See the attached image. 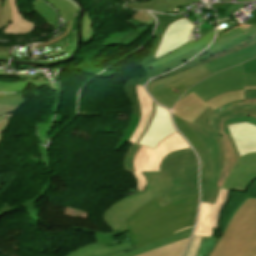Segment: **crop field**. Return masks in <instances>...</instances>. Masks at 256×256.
I'll use <instances>...</instances> for the list:
<instances>
[{
  "mask_svg": "<svg viewBox=\"0 0 256 256\" xmlns=\"http://www.w3.org/2000/svg\"><path fill=\"white\" fill-rule=\"evenodd\" d=\"M6 117H9V116H5V117H0V121ZM0 138H1V134H0Z\"/></svg>",
  "mask_w": 256,
  "mask_h": 256,
  "instance_id": "obj_64",
  "label": "crop field"
},
{
  "mask_svg": "<svg viewBox=\"0 0 256 256\" xmlns=\"http://www.w3.org/2000/svg\"><path fill=\"white\" fill-rule=\"evenodd\" d=\"M153 105L154 111L143 135L136 145H131L124 159L123 166L130 173L134 172L132 159L141 145L155 149L160 141L176 132L170 112L156 103Z\"/></svg>",
  "mask_w": 256,
  "mask_h": 256,
  "instance_id": "obj_10",
  "label": "crop field"
},
{
  "mask_svg": "<svg viewBox=\"0 0 256 256\" xmlns=\"http://www.w3.org/2000/svg\"><path fill=\"white\" fill-rule=\"evenodd\" d=\"M245 4H232L226 11H222L221 9L218 12V19L226 18L234 14L239 8H241ZM240 10V9H239Z\"/></svg>",
  "mask_w": 256,
  "mask_h": 256,
  "instance_id": "obj_40",
  "label": "crop field"
},
{
  "mask_svg": "<svg viewBox=\"0 0 256 256\" xmlns=\"http://www.w3.org/2000/svg\"><path fill=\"white\" fill-rule=\"evenodd\" d=\"M237 100H244L243 91L228 92L217 96L206 103L201 101L192 93L177 103L173 108L172 113L192 122L209 106L216 110L230 102Z\"/></svg>",
  "mask_w": 256,
  "mask_h": 256,
  "instance_id": "obj_13",
  "label": "crop field"
},
{
  "mask_svg": "<svg viewBox=\"0 0 256 256\" xmlns=\"http://www.w3.org/2000/svg\"><path fill=\"white\" fill-rule=\"evenodd\" d=\"M50 186L48 185H44L40 194L38 196H36L34 199L27 201L25 203L19 204L17 206H14L13 208L18 209V208H22L25 207L28 209L27 213L32 217V219L37 223L39 221V218L37 217V213H36V209H35V202L45 194V192L48 190Z\"/></svg>",
  "mask_w": 256,
  "mask_h": 256,
  "instance_id": "obj_33",
  "label": "crop field"
},
{
  "mask_svg": "<svg viewBox=\"0 0 256 256\" xmlns=\"http://www.w3.org/2000/svg\"><path fill=\"white\" fill-rule=\"evenodd\" d=\"M209 75H211L209 71L201 64L180 74L151 82L148 84V90L150 93L155 85L163 83L179 95H182L188 88Z\"/></svg>",
  "mask_w": 256,
  "mask_h": 256,
  "instance_id": "obj_17",
  "label": "crop field"
},
{
  "mask_svg": "<svg viewBox=\"0 0 256 256\" xmlns=\"http://www.w3.org/2000/svg\"><path fill=\"white\" fill-rule=\"evenodd\" d=\"M131 1H139V0H131Z\"/></svg>",
  "mask_w": 256,
  "mask_h": 256,
  "instance_id": "obj_67",
  "label": "crop field"
},
{
  "mask_svg": "<svg viewBox=\"0 0 256 256\" xmlns=\"http://www.w3.org/2000/svg\"><path fill=\"white\" fill-rule=\"evenodd\" d=\"M11 21V7L9 0H3V9L0 19V30L4 29Z\"/></svg>",
  "mask_w": 256,
  "mask_h": 256,
  "instance_id": "obj_38",
  "label": "crop field"
},
{
  "mask_svg": "<svg viewBox=\"0 0 256 256\" xmlns=\"http://www.w3.org/2000/svg\"><path fill=\"white\" fill-rule=\"evenodd\" d=\"M228 192L229 190L219 189L218 197L214 205L201 203L194 236L212 237L213 228H218L220 212L227 201Z\"/></svg>",
  "mask_w": 256,
  "mask_h": 256,
  "instance_id": "obj_15",
  "label": "crop field"
},
{
  "mask_svg": "<svg viewBox=\"0 0 256 256\" xmlns=\"http://www.w3.org/2000/svg\"><path fill=\"white\" fill-rule=\"evenodd\" d=\"M174 121L182 134L190 141L197 153L205 151V148L199 138L186 126L182 119L174 116Z\"/></svg>",
  "mask_w": 256,
  "mask_h": 256,
  "instance_id": "obj_31",
  "label": "crop field"
},
{
  "mask_svg": "<svg viewBox=\"0 0 256 256\" xmlns=\"http://www.w3.org/2000/svg\"><path fill=\"white\" fill-rule=\"evenodd\" d=\"M0 64H4V65H6L7 63H2V62H0Z\"/></svg>",
  "mask_w": 256,
  "mask_h": 256,
  "instance_id": "obj_65",
  "label": "crop field"
},
{
  "mask_svg": "<svg viewBox=\"0 0 256 256\" xmlns=\"http://www.w3.org/2000/svg\"><path fill=\"white\" fill-rule=\"evenodd\" d=\"M47 120L45 121V123H38V132H39V137H40V141L41 143L45 144L47 138H45L46 136V128H47Z\"/></svg>",
  "mask_w": 256,
  "mask_h": 256,
  "instance_id": "obj_43",
  "label": "crop field"
},
{
  "mask_svg": "<svg viewBox=\"0 0 256 256\" xmlns=\"http://www.w3.org/2000/svg\"><path fill=\"white\" fill-rule=\"evenodd\" d=\"M26 100L23 94H0V115H8L19 108Z\"/></svg>",
  "mask_w": 256,
  "mask_h": 256,
  "instance_id": "obj_24",
  "label": "crop field"
},
{
  "mask_svg": "<svg viewBox=\"0 0 256 256\" xmlns=\"http://www.w3.org/2000/svg\"><path fill=\"white\" fill-rule=\"evenodd\" d=\"M187 148H190L189 145L177 132L160 142L155 150L141 146L133 159L137 189L144 191L146 187L142 171H159L160 163L166 155Z\"/></svg>",
  "mask_w": 256,
  "mask_h": 256,
  "instance_id": "obj_9",
  "label": "crop field"
},
{
  "mask_svg": "<svg viewBox=\"0 0 256 256\" xmlns=\"http://www.w3.org/2000/svg\"><path fill=\"white\" fill-rule=\"evenodd\" d=\"M155 198L125 221L127 233L137 247L156 241L192 226L195 222L198 195L177 200L164 207Z\"/></svg>",
  "mask_w": 256,
  "mask_h": 256,
  "instance_id": "obj_1",
  "label": "crop field"
},
{
  "mask_svg": "<svg viewBox=\"0 0 256 256\" xmlns=\"http://www.w3.org/2000/svg\"><path fill=\"white\" fill-rule=\"evenodd\" d=\"M245 90H256V86H254V87H245Z\"/></svg>",
  "mask_w": 256,
  "mask_h": 256,
  "instance_id": "obj_58",
  "label": "crop field"
},
{
  "mask_svg": "<svg viewBox=\"0 0 256 256\" xmlns=\"http://www.w3.org/2000/svg\"><path fill=\"white\" fill-rule=\"evenodd\" d=\"M226 24L229 25V27H227V28H225V29H223L221 31H218V34H220V33L224 32V31H226V30H228V29L238 25V23L234 22L233 20L226 22Z\"/></svg>",
  "mask_w": 256,
  "mask_h": 256,
  "instance_id": "obj_52",
  "label": "crop field"
},
{
  "mask_svg": "<svg viewBox=\"0 0 256 256\" xmlns=\"http://www.w3.org/2000/svg\"><path fill=\"white\" fill-rule=\"evenodd\" d=\"M10 51H11V49H9V52L0 51V59H8V57L10 55Z\"/></svg>",
  "mask_w": 256,
  "mask_h": 256,
  "instance_id": "obj_55",
  "label": "crop field"
},
{
  "mask_svg": "<svg viewBox=\"0 0 256 256\" xmlns=\"http://www.w3.org/2000/svg\"><path fill=\"white\" fill-rule=\"evenodd\" d=\"M251 15L252 17L243 25L238 22L240 25L218 35L219 37H217L213 45L190 63L162 76V78L180 73L201 63L211 62L256 43V12L253 11Z\"/></svg>",
  "mask_w": 256,
  "mask_h": 256,
  "instance_id": "obj_5",
  "label": "crop field"
},
{
  "mask_svg": "<svg viewBox=\"0 0 256 256\" xmlns=\"http://www.w3.org/2000/svg\"><path fill=\"white\" fill-rule=\"evenodd\" d=\"M246 1H251V0H238L237 2H246Z\"/></svg>",
  "mask_w": 256,
  "mask_h": 256,
  "instance_id": "obj_63",
  "label": "crop field"
},
{
  "mask_svg": "<svg viewBox=\"0 0 256 256\" xmlns=\"http://www.w3.org/2000/svg\"><path fill=\"white\" fill-rule=\"evenodd\" d=\"M188 238L145 252L137 256H180Z\"/></svg>",
  "mask_w": 256,
  "mask_h": 256,
  "instance_id": "obj_27",
  "label": "crop field"
},
{
  "mask_svg": "<svg viewBox=\"0 0 256 256\" xmlns=\"http://www.w3.org/2000/svg\"><path fill=\"white\" fill-rule=\"evenodd\" d=\"M205 47H206V46H205ZM205 47H203V48H201V49H199V50H196V51H194V52H192V53H190V54H187V55H185V56H182V57H180V58H178V59H175V60H173V61H170V62H168V63H166V64H163V65H161V66H158V67H155V68H150V69H144L147 73H145V74H143V75H141V76H138V77H136V78H134V79H132V80L126 82L125 85L131 84V83H132L133 81H135L136 79H138V78H140V77H142V76H144V75H146V74H148V73H150V74L152 75V77H154V76H157V75H159V74H161V73H164V72H166V71H168V70H170V69H173V68H175V67H177V66L183 64L184 62H186V61L189 60L190 58H192L196 53H198V52H200L201 50L205 49Z\"/></svg>",
  "mask_w": 256,
  "mask_h": 256,
  "instance_id": "obj_23",
  "label": "crop field"
},
{
  "mask_svg": "<svg viewBox=\"0 0 256 256\" xmlns=\"http://www.w3.org/2000/svg\"><path fill=\"white\" fill-rule=\"evenodd\" d=\"M190 3H194V1L193 0H151L146 2L127 4V6L130 9L154 10V11L163 13L170 9L180 7Z\"/></svg>",
  "mask_w": 256,
  "mask_h": 256,
  "instance_id": "obj_20",
  "label": "crop field"
},
{
  "mask_svg": "<svg viewBox=\"0 0 256 256\" xmlns=\"http://www.w3.org/2000/svg\"><path fill=\"white\" fill-rule=\"evenodd\" d=\"M71 23H72V21L69 22L68 28H67L66 32L64 34H62L60 37H58V38H56L54 40L48 41V42H44V43L39 44V45H37L35 47L51 45V44L57 42L58 40L64 38L70 32Z\"/></svg>",
  "mask_w": 256,
  "mask_h": 256,
  "instance_id": "obj_45",
  "label": "crop field"
},
{
  "mask_svg": "<svg viewBox=\"0 0 256 256\" xmlns=\"http://www.w3.org/2000/svg\"><path fill=\"white\" fill-rule=\"evenodd\" d=\"M202 237H194L186 256H196Z\"/></svg>",
  "mask_w": 256,
  "mask_h": 256,
  "instance_id": "obj_42",
  "label": "crop field"
},
{
  "mask_svg": "<svg viewBox=\"0 0 256 256\" xmlns=\"http://www.w3.org/2000/svg\"><path fill=\"white\" fill-rule=\"evenodd\" d=\"M10 1L12 7V21L2 31V34L19 35L32 32L34 30L35 24L22 17L18 11L15 0Z\"/></svg>",
  "mask_w": 256,
  "mask_h": 256,
  "instance_id": "obj_21",
  "label": "crop field"
},
{
  "mask_svg": "<svg viewBox=\"0 0 256 256\" xmlns=\"http://www.w3.org/2000/svg\"><path fill=\"white\" fill-rule=\"evenodd\" d=\"M214 27H212L210 24H208L207 22L200 25V30L202 32V36L205 35L207 32H209L211 29H213Z\"/></svg>",
  "mask_w": 256,
  "mask_h": 256,
  "instance_id": "obj_47",
  "label": "crop field"
},
{
  "mask_svg": "<svg viewBox=\"0 0 256 256\" xmlns=\"http://www.w3.org/2000/svg\"><path fill=\"white\" fill-rule=\"evenodd\" d=\"M152 96L157 102L167 106L170 109L181 97L163 84L153 88Z\"/></svg>",
  "mask_w": 256,
  "mask_h": 256,
  "instance_id": "obj_28",
  "label": "crop field"
},
{
  "mask_svg": "<svg viewBox=\"0 0 256 256\" xmlns=\"http://www.w3.org/2000/svg\"><path fill=\"white\" fill-rule=\"evenodd\" d=\"M46 1L59 10L61 17L65 21V26H67L69 20H76V16L74 17V14L76 13L75 8H73L66 1H62V0H46Z\"/></svg>",
  "mask_w": 256,
  "mask_h": 256,
  "instance_id": "obj_32",
  "label": "crop field"
},
{
  "mask_svg": "<svg viewBox=\"0 0 256 256\" xmlns=\"http://www.w3.org/2000/svg\"><path fill=\"white\" fill-rule=\"evenodd\" d=\"M222 1H230V0H222Z\"/></svg>",
  "mask_w": 256,
  "mask_h": 256,
  "instance_id": "obj_66",
  "label": "crop field"
},
{
  "mask_svg": "<svg viewBox=\"0 0 256 256\" xmlns=\"http://www.w3.org/2000/svg\"><path fill=\"white\" fill-rule=\"evenodd\" d=\"M56 71V68L51 70V77L53 78V73Z\"/></svg>",
  "mask_w": 256,
  "mask_h": 256,
  "instance_id": "obj_61",
  "label": "crop field"
},
{
  "mask_svg": "<svg viewBox=\"0 0 256 256\" xmlns=\"http://www.w3.org/2000/svg\"><path fill=\"white\" fill-rule=\"evenodd\" d=\"M74 229L95 234L97 243L82 246L66 256H109L122 251L127 253L135 248L127 233H123L126 236L125 240L117 243L113 236L121 235V231L102 233L78 227ZM107 244H114L115 247H108Z\"/></svg>",
  "mask_w": 256,
  "mask_h": 256,
  "instance_id": "obj_12",
  "label": "crop field"
},
{
  "mask_svg": "<svg viewBox=\"0 0 256 256\" xmlns=\"http://www.w3.org/2000/svg\"><path fill=\"white\" fill-rule=\"evenodd\" d=\"M30 82H17V83H0V92H20L24 91L26 86ZM38 88L45 86L46 84L31 82Z\"/></svg>",
  "mask_w": 256,
  "mask_h": 256,
  "instance_id": "obj_35",
  "label": "crop field"
},
{
  "mask_svg": "<svg viewBox=\"0 0 256 256\" xmlns=\"http://www.w3.org/2000/svg\"><path fill=\"white\" fill-rule=\"evenodd\" d=\"M192 228H193V227H192ZM192 228H190V229H188V230H185V231H183V232H181V233H178V234H176V235L170 236V237H168V238H165V239H163V240L157 241V242H155V243H152V244H150V245H147V246H144V247H142V248L136 249V250L131 251V252L127 253V254H125L124 252H122V253L115 254V255H112V256H134V255L143 253V252H145V251H148V250H151V249H154V248H157V247H160V246H163V245H166V244L175 242V241H177V240H180V239L189 237L190 234H191Z\"/></svg>",
  "mask_w": 256,
  "mask_h": 256,
  "instance_id": "obj_25",
  "label": "crop field"
},
{
  "mask_svg": "<svg viewBox=\"0 0 256 256\" xmlns=\"http://www.w3.org/2000/svg\"><path fill=\"white\" fill-rule=\"evenodd\" d=\"M213 111L209 107L192 124L184 121L207 149V151L198 154L201 160V202L211 204L214 203L217 197V178L223 164L218 136L206 122Z\"/></svg>",
  "mask_w": 256,
  "mask_h": 256,
  "instance_id": "obj_4",
  "label": "crop field"
},
{
  "mask_svg": "<svg viewBox=\"0 0 256 256\" xmlns=\"http://www.w3.org/2000/svg\"><path fill=\"white\" fill-rule=\"evenodd\" d=\"M231 4H227V3H217V4H214V5H212L211 7L212 8H214V9H216V10H218V9H224V10H226L229 6H230Z\"/></svg>",
  "mask_w": 256,
  "mask_h": 256,
  "instance_id": "obj_48",
  "label": "crop field"
},
{
  "mask_svg": "<svg viewBox=\"0 0 256 256\" xmlns=\"http://www.w3.org/2000/svg\"><path fill=\"white\" fill-rule=\"evenodd\" d=\"M143 174L147 180L145 192L137 191L125 197L108 208L103 214V219L112 231L121 230L122 233L126 232L124 220L133 212L157 197L160 190L159 172H143Z\"/></svg>",
  "mask_w": 256,
  "mask_h": 256,
  "instance_id": "obj_7",
  "label": "crop field"
},
{
  "mask_svg": "<svg viewBox=\"0 0 256 256\" xmlns=\"http://www.w3.org/2000/svg\"><path fill=\"white\" fill-rule=\"evenodd\" d=\"M154 16L158 18V27L156 30V39L151 47L150 50L146 51V58H148L149 56H151L153 53H155L157 46L159 44V41L163 35V31L164 29L173 22V20L179 19V17L177 15H162V14H158V13H154ZM145 58V59H146Z\"/></svg>",
  "mask_w": 256,
  "mask_h": 256,
  "instance_id": "obj_29",
  "label": "crop field"
},
{
  "mask_svg": "<svg viewBox=\"0 0 256 256\" xmlns=\"http://www.w3.org/2000/svg\"><path fill=\"white\" fill-rule=\"evenodd\" d=\"M0 77H21L22 81L42 82V83H46L47 86H49L51 89L57 91L56 102H55V104L53 106V111H52L51 115L49 116L48 128H47V136H48L49 128H50L52 119H53V117L55 115V111H56V107H57V103H58L59 84L58 83L51 84L49 81H46V79L44 78L43 75H40V74H36V75H29V74H0Z\"/></svg>",
  "mask_w": 256,
  "mask_h": 256,
  "instance_id": "obj_26",
  "label": "crop field"
},
{
  "mask_svg": "<svg viewBox=\"0 0 256 256\" xmlns=\"http://www.w3.org/2000/svg\"><path fill=\"white\" fill-rule=\"evenodd\" d=\"M238 116H254L256 117V100L238 101L224 106L216 111L209 117L207 122L213 128L220 138L224 164L222 172L218 178V185L222 187L226 177L237 161L238 157L226 135L223 134L222 121L231 117Z\"/></svg>",
  "mask_w": 256,
  "mask_h": 256,
  "instance_id": "obj_6",
  "label": "crop field"
},
{
  "mask_svg": "<svg viewBox=\"0 0 256 256\" xmlns=\"http://www.w3.org/2000/svg\"><path fill=\"white\" fill-rule=\"evenodd\" d=\"M15 65V64H13ZM17 66H20V67H39V66H23V65H17Z\"/></svg>",
  "mask_w": 256,
  "mask_h": 256,
  "instance_id": "obj_60",
  "label": "crop field"
},
{
  "mask_svg": "<svg viewBox=\"0 0 256 256\" xmlns=\"http://www.w3.org/2000/svg\"><path fill=\"white\" fill-rule=\"evenodd\" d=\"M213 32H214V29L211 30L209 33H207L205 36H203L201 39H199L197 42L195 43H188L187 45H185L184 47L158 59L157 61L149 64L148 66L144 67V68H149V67H155V66H158V65H161L165 62H168L170 60H173L175 58H178L182 55H185L187 53H190L198 48H201L207 44H209V42L211 41L212 37H213Z\"/></svg>",
  "mask_w": 256,
  "mask_h": 256,
  "instance_id": "obj_22",
  "label": "crop field"
},
{
  "mask_svg": "<svg viewBox=\"0 0 256 256\" xmlns=\"http://www.w3.org/2000/svg\"><path fill=\"white\" fill-rule=\"evenodd\" d=\"M220 238L203 237L197 256H209L215 244Z\"/></svg>",
  "mask_w": 256,
  "mask_h": 256,
  "instance_id": "obj_37",
  "label": "crop field"
},
{
  "mask_svg": "<svg viewBox=\"0 0 256 256\" xmlns=\"http://www.w3.org/2000/svg\"><path fill=\"white\" fill-rule=\"evenodd\" d=\"M245 100L256 99V91H244Z\"/></svg>",
  "mask_w": 256,
  "mask_h": 256,
  "instance_id": "obj_49",
  "label": "crop field"
},
{
  "mask_svg": "<svg viewBox=\"0 0 256 256\" xmlns=\"http://www.w3.org/2000/svg\"><path fill=\"white\" fill-rule=\"evenodd\" d=\"M254 254H256V199H247L229 221L210 256Z\"/></svg>",
  "mask_w": 256,
  "mask_h": 256,
  "instance_id": "obj_3",
  "label": "crop field"
},
{
  "mask_svg": "<svg viewBox=\"0 0 256 256\" xmlns=\"http://www.w3.org/2000/svg\"><path fill=\"white\" fill-rule=\"evenodd\" d=\"M136 93L139 99V105L141 110V119H139L135 131L132 133L128 142L136 144L140 136L142 135L147 122L153 111L152 100L146 94L144 87L136 86Z\"/></svg>",
  "mask_w": 256,
  "mask_h": 256,
  "instance_id": "obj_19",
  "label": "crop field"
},
{
  "mask_svg": "<svg viewBox=\"0 0 256 256\" xmlns=\"http://www.w3.org/2000/svg\"><path fill=\"white\" fill-rule=\"evenodd\" d=\"M253 85H256V74L244 75L243 65L241 64L199 82L189 89L182 98L193 92L205 102L222 93L232 90H244V86Z\"/></svg>",
  "mask_w": 256,
  "mask_h": 256,
  "instance_id": "obj_8",
  "label": "crop field"
},
{
  "mask_svg": "<svg viewBox=\"0 0 256 256\" xmlns=\"http://www.w3.org/2000/svg\"><path fill=\"white\" fill-rule=\"evenodd\" d=\"M68 3H70L71 5H73L75 8H78L79 6L77 5L76 2L72 1V0H66Z\"/></svg>",
  "mask_w": 256,
  "mask_h": 256,
  "instance_id": "obj_57",
  "label": "crop field"
},
{
  "mask_svg": "<svg viewBox=\"0 0 256 256\" xmlns=\"http://www.w3.org/2000/svg\"><path fill=\"white\" fill-rule=\"evenodd\" d=\"M11 206L9 205H6L5 207H3L1 210H0V217L4 214H6L7 212H9L11 210Z\"/></svg>",
  "mask_w": 256,
  "mask_h": 256,
  "instance_id": "obj_54",
  "label": "crop field"
},
{
  "mask_svg": "<svg viewBox=\"0 0 256 256\" xmlns=\"http://www.w3.org/2000/svg\"><path fill=\"white\" fill-rule=\"evenodd\" d=\"M132 19L138 22L151 25L154 20V17L150 16L146 11H137L132 17Z\"/></svg>",
  "mask_w": 256,
  "mask_h": 256,
  "instance_id": "obj_39",
  "label": "crop field"
},
{
  "mask_svg": "<svg viewBox=\"0 0 256 256\" xmlns=\"http://www.w3.org/2000/svg\"><path fill=\"white\" fill-rule=\"evenodd\" d=\"M82 36V42L85 43H90L91 38L96 36V32L92 28V20L90 19L87 10L82 19Z\"/></svg>",
  "mask_w": 256,
  "mask_h": 256,
  "instance_id": "obj_34",
  "label": "crop field"
},
{
  "mask_svg": "<svg viewBox=\"0 0 256 256\" xmlns=\"http://www.w3.org/2000/svg\"><path fill=\"white\" fill-rule=\"evenodd\" d=\"M148 78H151L150 74L147 75V76H145V77H143V78H141V79H139V80H137V81H135V82L132 83V84H133V85H144L145 82L148 80Z\"/></svg>",
  "mask_w": 256,
  "mask_h": 256,
  "instance_id": "obj_50",
  "label": "crop field"
},
{
  "mask_svg": "<svg viewBox=\"0 0 256 256\" xmlns=\"http://www.w3.org/2000/svg\"><path fill=\"white\" fill-rule=\"evenodd\" d=\"M8 121H9V119H6V120H3V121L0 122V132H2L3 129L6 127Z\"/></svg>",
  "mask_w": 256,
  "mask_h": 256,
  "instance_id": "obj_56",
  "label": "crop field"
},
{
  "mask_svg": "<svg viewBox=\"0 0 256 256\" xmlns=\"http://www.w3.org/2000/svg\"><path fill=\"white\" fill-rule=\"evenodd\" d=\"M245 74L256 73V59L244 63Z\"/></svg>",
  "mask_w": 256,
  "mask_h": 256,
  "instance_id": "obj_44",
  "label": "crop field"
},
{
  "mask_svg": "<svg viewBox=\"0 0 256 256\" xmlns=\"http://www.w3.org/2000/svg\"><path fill=\"white\" fill-rule=\"evenodd\" d=\"M129 36L126 38V39H117L115 40L114 43H118L119 44H124L126 47L132 43H134L136 40H134V37L135 36H139V34L135 31V30H132L130 32H128ZM140 37V36H139Z\"/></svg>",
  "mask_w": 256,
  "mask_h": 256,
  "instance_id": "obj_41",
  "label": "crop field"
},
{
  "mask_svg": "<svg viewBox=\"0 0 256 256\" xmlns=\"http://www.w3.org/2000/svg\"><path fill=\"white\" fill-rule=\"evenodd\" d=\"M254 256H256V255H254Z\"/></svg>",
  "mask_w": 256,
  "mask_h": 256,
  "instance_id": "obj_68",
  "label": "crop field"
},
{
  "mask_svg": "<svg viewBox=\"0 0 256 256\" xmlns=\"http://www.w3.org/2000/svg\"><path fill=\"white\" fill-rule=\"evenodd\" d=\"M31 3L33 5L32 9L56 30L57 15L55 11L42 0H35V3L31 1Z\"/></svg>",
  "mask_w": 256,
  "mask_h": 256,
  "instance_id": "obj_30",
  "label": "crop field"
},
{
  "mask_svg": "<svg viewBox=\"0 0 256 256\" xmlns=\"http://www.w3.org/2000/svg\"><path fill=\"white\" fill-rule=\"evenodd\" d=\"M227 20H231V19L229 18V19H227ZM227 20L218 21V25L224 23V22L227 21Z\"/></svg>",
  "mask_w": 256,
  "mask_h": 256,
  "instance_id": "obj_59",
  "label": "crop field"
},
{
  "mask_svg": "<svg viewBox=\"0 0 256 256\" xmlns=\"http://www.w3.org/2000/svg\"><path fill=\"white\" fill-rule=\"evenodd\" d=\"M224 134L228 135L238 157L256 153V119L238 117L223 122Z\"/></svg>",
  "mask_w": 256,
  "mask_h": 256,
  "instance_id": "obj_11",
  "label": "crop field"
},
{
  "mask_svg": "<svg viewBox=\"0 0 256 256\" xmlns=\"http://www.w3.org/2000/svg\"><path fill=\"white\" fill-rule=\"evenodd\" d=\"M131 22L135 25L136 31L141 35L145 33V31L149 28V26L144 25L142 23H138L131 19Z\"/></svg>",
  "mask_w": 256,
  "mask_h": 256,
  "instance_id": "obj_46",
  "label": "crop field"
},
{
  "mask_svg": "<svg viewBox=\"0 0 256 256\" xmlns=\"http://www.w3.org/2000/svg\"><path fill=\"white\" fill-rule=\"evenodd\" d=\"M193 27H195V25L186 18L173 22L166 28L158 49L153 56L158 59L184 46L189 42Z\"/></svg>",
  "mask_w": 256,
  "mask_h": 256,
  "instance_id": "obj_14",
  "label": "crop field"
},
{
  "mask_svg": "<svg viewBox=\"0 0 256 256\" xmlns=\"http://www.w3.org/2000/svg\"><path fill=\"white\" fill-rule=\"evenodd\" d=\"M1 8H2V0H0V14H1Z\"/></svg>",
  "mask_w": 256,
  "mask_h": 256,
  "instance_id": "obj_62",
  "label": "crop field"
},
{
  "mask_svg": "<svg viewBox=\"0 0 256 256\" xmlns=\"http://www.w3.org/2000/svg\"><path fill=\"white\" fill-rule=\"evenodd\" d=\"M155 60H157V59L154 58L153 56H151V57H149L147 60L144 59V60L139 64V66L143 67V66H145V65H147V64H149V63H151V62H153V61H155Z\"/></svg>",
  "mask_w": 256,
  "mask_h": 256,
  "instance_id": "obj_53",
  "label": "crop field"
},
{
  "mask_svg": "<svg viewBox=\"0 0 256 256\" xmlns=\"http://www.w3.org/2000/svg\"><path fill=\"white\" fill-rule=\"evenodd\" d=\"M253 57H256V44L211 63H207L205 66L210 71V73L213 74L224 68L240 64Z\"/></svg>",
  "mask_w": 256,
  "mask_h": 256,
  "instance_id": "obj_18",
  "label": "crop field"
},
{
  "mask_svg": "<svg viewBox=\"0 0 256 256\" xmlns=\"http://www.w3.org/2000/svg\"><path fill=\"white\" fill-rule=\"evenodd\" d=\"M40 145V144H39ZM40 148H41V151H42V153H43V155H44V158H45V160L48 162V163H50V161H49V154H48V147L47 148H44L42 145H40ZM51 164V163H50Z\"/></svg>",
  "mask_w": 256,
  "mask_h": 256,
  "instance_id": "obj_51",
  "label": "crop field"
},
{
  "mask_svg": "<svg viewBox=\"0 0 256 256\" xmlns=\"http://www.w3.org/2000/svg\"><path fill=\"white\" fill-rule=\"evenodd\" d=\"M198 161L191 149L169 154L161 163L162 206L188 195L198 194Z\"/></svg>",
  "mask_w": 256,
  "mask_h": 256,
  "instance_id": "obj_2",
  "label": "crop field"
},
{
  "mask_svg": "<svg viewBox=\"0 0 256 256\" xmlns=\"http://www.w3.org/2000/svg\"><path fill=\"white\" fill-rule=\"evenodd\" d=\"M124 90H125V93L129 99V101L131 102L132 112L138 118H140V110H139L137 95L135 93V86H133V85L124 86Z\"/></svg>",
  "mask_w": 256,
  "mask_h": 256,
  "instance_id": "obj_36",
  "label": "crop field"
},
{
  "mask_svg": "<svg viewBox=\"0 0 256 256\" xmlns=\"http://www.w3.org/2000/svg\"><path fill=\"white\" fill-rule=\"evenodd\" d=\"M254 179H256V154H250L238 159L222 188L244 192Z\"/></svg>",
  "mask_w": 256,
  "mask_h": 256,
  "instance_id": "obj_16",
  "label": "crop field"
}]
</instances>
